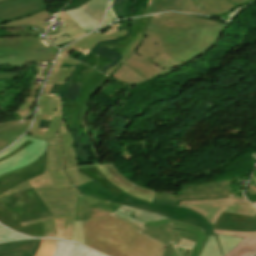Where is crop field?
Returning a JSON list of instances; mask_svg holds the SVG:
<instances>
[{"label":"crop field","instance_id":"412701ff","mask_svg":"<svg viewBox=\"0 0 256 256\" xmlns=\"http://www.w3.org/2000/svg\"><path fill=\"white\" fill-rule=\"evenodd\" d=\"M77 189L79 192L104 198L106 200H112L115 202L122 203L124 205L144 210L159 212L160 214L170 217L177 221H183L194 225H200L207 235H214L212 232V225L203 215L193 210L176 206L177 201L152 200V202L149 203L141 199L131 197L125 194L124 192L116 197L94 181L79 186L77 187Z\"/></svg>","mask_w":256,"mask_h":256},{"label":"crop field","instance_id":"03da06ac","mask_svg":"<svg viewBox=\"0 0 256 256\" xmlns=\"http://www.w3.org/2000/svg\"><path fill=\"white\" fill-rule=\"evenodd\" d=\"M246 192L248 193V195L252 196V197H256V192L251 190V189H247ZM255 206H256V202H252Z\"/></svg>","mask_w":256,"mask_h":256},{"label":"crop field","instance_id":"8a807250","mask_svg":"<svg viewBox=\"0 0 256 256\" xmlns=\"http://www.w3.org/2000/svg\"><path fill=\"white\" fill-rule=\"evenodd\" d=\"M63 63L79 62L59 57L39 104L29 136L48 142L45 174L27 180L0 194V198L33 187L54 216L23 223L43 222L44 237L56 234L54 221H65L64 239L72 240L73 220H84L85 245L109 256H162L166 247L140 233L139 227L113 215L122 204L79 193L75 187L92 181L78 168L96 166L101 174L125 193L151 202L154 192L134 185L114 164L78 166L73 139L62 119L59 95L49 94L53 84H65L74 67L60 69ZM41 119L51 120L48 130L38 129Z\"/></svg>","mask_w":256,"mask_h":256},{"label":"crop field","instance_id":"bd1437ed","mask_svg":"<svg viewBox=\"0 0 256 256\" xmlns=\"http://www.w3.org/2000/svg\"><path fill=\"white\" fill-rule=\"evenodd\" d=\"M36 98L26 97L25 102L23 106H21L19 111H17V114L20 115V117L26 116L33 108Z\"/></svg>","mask_w":256,"mask_h":256},{"label":"crop field","instance_id":"a9b5d70f","mask_svg":"<svg viewBox=\"0 0 256 256\" xmlns=\"http://www.w3.org/2000/svg\"><path fill=\"white\" fill-rule=\"evenodd\" d=\"M126 207L129 209L126 212L127 214H129L131 217H134L144 222L167 219V217L162 216L158 213L148 212V211H144V210H140V209H136L128 206Z\"/></svg>","mask_w":256,"mask_h":256},{"label":"crop field","instance_id":"22f410ed","mask_svg":"<svg viewBox=\"0 0 256 256\" xmlns=\"http://www.w3.org/2000/svg\"><path fill=\"white\" fill-rule=\"evenodd\" d=\"M46 7L43 0H11L0 3V23L25 17Z\"/></svg>","mask_w":256,"mask_h":256},{"label":"crop field","instance_id":"214f88e0","mask_svg":"<svg viewBox=\"0 0 256 256\" xmlns=\"http://www.w3.org/2000/svg\"><path fill=\"white\" fill-rule=\"evenodd\" d=\"M50 13L47 11V9L38 12L36 14L27 16L25 18L19 19V20H15V21H11V22H7V23H3L0 24V26L2 27H16V26H21V25H34V26H38V27H42L41 23H44L45 19H47L48 17H50ZM48 26L42 27L44 29H46Z\"/></svg>","mask_w":256,"mask_h":256},{"label":"crop field","instance_id":"5142ce71","mask_svg":"<svg viewBox=\"0 0 256 256\" xmlns=\"http://www.w3.org/2000/svg\"><path fill=\"white\" fill-rule=\"evenodd\" d=\"M215 229L237 230V231H256V216H245L222 212L216 223Z\"/></svg>","mask_w":256,"mask_h":256},{"label":"crop field","instance_id":"5866460e","mask_svg":"<svg viewBox=\"0 0 256 256\" xmlns=\"http://www.w3.org/2000/svg\"><path fill=\"white\" fill-rule=\"evenodd\" d=\"M57 234L54 237L63 239L64 222H55Z\"/></svg>","mask_w":256,"mask_h":256},{"label":"crop field","instance_id":"4177f3b9","mask_svg":"<svg viewBox=\"0 0 256 256\" xmlns=\"http://www.w3.org/2000/svg\"><path fill=\"white\" fill-rule=\"evenodd\" d=\"M183 0H159L153 13L163 11H179Z\"/></svg>","mask_w":256,"mask_h":256},{"label":"crop field","instance_id":"f4fd0767","mask_svg":"<svg viewBox=\"0 0 256 256\" xmlns=\"http://www.w3.org/2000/svg\"><path fill=\"white\" fill-rule=\"evenodd\" d=\"M58 50L45 48L35 36L0 38V64L24 68L34 60H54ZM19 74L0 73V79L17 78Z\"/></svg>","mask_w":256,"mask_h":256},{"label":"crop field","instance_id":"d8731c3e","mask_svg":"<svg viewBox=\"0 0 256 256\" xmlns=\"http://www.w3.org/2000/svg\"><path fill=\"white\" fill-rule=\"evenodd\" d=\"M233 185L232 187L235 191L233 197L208 201H178V206L190 208L203 214L212 223V225L215 223L222 211L255 216L256 209L245 200L242 195V190Z\"/></svg>","mask_w":256,"mask_h":256},{"label":"crop field","instance_id":"425ffa30","mask_svg":"<svg viewBox=\"0 0 256 256\" xmlns=\"http://www.w3.org/2000/svg\"><path fill=\"white\" fill-rule=\"evenodd\" d=\"M247 1L251 2V1H254V0H247Z\"/></svg>","mask_w":256,"mask_h":256},{"label":"crop field","instance_id":"120bbe31","mask_svg":"<svg viewBox=\"0 0 256 256\" xmlns=\"http://www.w3.org/2000/svg\"><path fill=\"white\" fill-rule=\"evenodd\" d=\"M248 4H249V3H248ZM245 5H247V4H245ZM245 5L240 6V7L236 8V9L232 10L231 12H229V13H227V14L221 16V17H222L223 19H225L227 22H230V21L242 10V8H243Z\"/></svg>","mask_w":256,"mask_h":256},{"label":"crop field","instance_id":"c035e120","mask_svg":"<svg viewBox=\"0 0 256 256\" xmlns=\"http://www.w3.org/2000/svg\"><path fill=\"white\" fill-rule=\"evenodd\" d=\"M249 185L251 189L255 190L256 191V176L253 175L250 182H249Z\"/></svg>","mask_w":256,"mask_h":256},{"label":"crop field","instance_id":"bc2a9ffb","mask_svg":"<svg viewBox=\"0 0 256 256\" xmlns=\"http://www.w3.org/2000/svg\"><path fill=\"white\" fill-rule=\"evenodd\" d=\"M40 240H24L0 244V256H34Z\"/></svg>","mask_w":256,"mask_h":256},{"label":"crop field","instance_id":"dafd665d","mask_svg":"<svg viewBox=\"0 0 256 256\" xmlns=\"http://www.w3.org/2000/svg\"><path fill=\"white\" fill-rule=\"evenodd\" d=\"M151 17L152 16L133 19V23H132L133 32L131 37L125 41L113 43L112 46L124 50V48L129 44V42L134 38V36H136L138 33H143V34L145 33Z\"/></svg>","mask_w":256,"mask_h":256},{"label":"crop field","instance_id":"ac0d7876","mask_svg":"<svg viewBox=\"0 0 256 256\" xmlns=\"http://www.w3.org/2000/svg\"><path fill=\"white\" fill-rule=\"evenodd\" d=\"M226 26L174 13L155 15L145 35L138 34L105 74L134 86L152 81L205 53Z\"/></svg>","mask_w":256,"mask_h":256},{"label":"crop field","instance_id":"e52e79f7","mask_svg":"<svg viewBox=\"0 0 256 256\" xmlns=\"http://www.w3.org/2000/svg\"><path fill=\"white\" fill-rule=\"evenodd\" d=\"M51 215L33 188L0 199V222L6 226Z\"/></svg>","mask_w":256,"mask_h":256},{"label":"crop field","instance_id":"b80d0937","mask_svg":"<svg viewBox=\"0 0 256 256\" xmlns=\"http://www.w3.org/2000/svg\"><path fill=\"white\" fill-rule=\"evenodd\" d=\"M98 44H100V45H102V46H104V47H106V48H108V49H111V50H114V51H116V52L122 53V50L117 49V48H114V47L108 45V44L105 43V42H99Z\"/></svg>","mask_w":256,"mask_h":256},{"label":"crop field","instance_id":"34b2d1b8","mask_svg":"<svg viewBox=\"0 0 256 256\" xmlns=\"http://www.w3.org/2000/svg\"><path fill=\"white\" fill-rule=\"evenodd\" d=\"M46 145L40 139L25 136L0 154V193L44 173Z\"/></svg>","mask_w":256,"mask_h":256},{"label":"crop field","instance_id":"00972430","mask_svg":"<svg viewBox=\"0 0 256 256\" xmlns=\"http://www.w3.org/2000/svg\"><path fill=\"white\" fill-rule=\"evenodd\" d=\"M87 251L88 249L80 245L58 241L57 248L53 256H83Z\"/></svg>","mask_w":256,"mask_h":256},{"label":"crop field","instance_id":"d3111659","mask_svg":"<svg viewBox=\"0 0 256 256\" xmlns=\"http://www.w3.org/2000/svg\"><path fill=\"white\" fill-rule=\"evenodd\" d=\"M25 238H28V237L18 235L0 226V242L8 241V240L25 239Z\"/></svg>","mask_w":256,"mask_h":256},{"label":"crop field","instance_id":"0bd39190","mask_svg":"<svg viewBox=\"0 0 256 256\" xmlns=\"http://www.w3.org/2000/svg\"><path fill=\"white\" fill-rule=\"evenodd\" d=\"M157 1L158 0H151L150 5H152V6L149 5V8H148V11H147L146 14H149V13L153 12V10H154V8H155V6L157 4Z\"/></svg>","mask_w":256,"mask_h":256},{"label":"crop field","instance_id":"28ad6ade","mask_svg":"<svg viewBox=\"0 0 256 256\" xmlns=\"http://www.w3.org/2000/svg\"><path fill=\"white\" fill-rule=\"evenodd\" d=\"M107 1L89 0L76 9L64 10V12L84 31L93 30L102 22Z\"/></svg>","mask_w":256,"mask_h":256},{"label":"crop field","instance_id":"92a150f3","mask_svg":"<svg viewBox=\"0 0 256 256\" xmlns=\"http://www.w3.org/2000/svg\"><path fill=\"white\" fill-rule=\"evenodd\" d=\"M79 172L93 179L94 181L99 183L101 186H103L104 188H106L116 196L119 195L121 192H123L117 189L115 186H113L106 178H104L100 174V172L96 169V167L79 169Z\"/></svg>","mask_w":256,"mask_h":256},{"label":"crop field","instance_id":"eef30255","mask_svg":"<svg viewBox=\"0 0 256 256\" xmlns=\"http://www.w3.org/2000/svg\"><path fill=\"white\" fill-rule=\"evenodd\" d=\"M108 60H109L108 58L90 51L89 54L84 59L83 63L98 70L104 64H106Z\"/></svg>","mask_w":256,"mask_h":256},{"label":"crop field","instance_id":"730fd06b","mask_svg":"<svg viewBox=\"0 0 256 256\" xmlns=\"http://www.w3.org/2000/svg\"><path fill=\"white\" fill-rule=\"evenodd\" d=\"M8 227L13 228L23 234H27L35 237H43L42 223L24 226V227H21L20 224H17V225H11Z\"/></svg>","mask_w":256,"mask_h":256},{"label":"crop field","instance_id":"5d738f31","mask_svg":"<svg viewBox=\"0 0 256 256\" xmlns=\"http://www.w3.org/2000/svg\"><path fill=\"white\" fill-rule=\"evenodd\" d=\"M190 251L186 250L183 256H189Z\"/></svg>","mask_w":256,"mask_h":256},{"label":"crop field","instance_id":"cbeb9de0","mask_svg":"<svg viewBox=\"0 0 256 256\" xmlns=\"http://www.w3.org/2000/svg\"><path fill=\"white\" fill-rule=\"evenodd\" d=\"M124 25H127V30H121L117 32L115 27ZM130 27L131 23L129 22L112 25L109 29L102 33L88 35L84 39L68 46L66 49L63 50L60 56L69 57L73 50L80 51L82 52V54L87 55L88 52L93 48V46L99 41H106L125 37L130 30Z\"/></svg>","mask_w":256,"mask_h":256},{"label":"crop field","instance_id":"25e5ab78","mask_svg":"<svg viewBox=\"0 0 256 256\" xmlns=\"http://www.w3.org/2000/svg\"><path fill=\"white\" fill-rule=\"evenodd\" d=\"M186 249H189V250H190L191 248H186Z\"/></svg>","mask_w":256,"mask_h":256},{"label":"crop field","instance_id":"750c4746","mask_svg":"<svg viewBox=\"0 0 256 256\" xmlns=\"http://www.w3.org/2000/svg\"><path fill=\"white\" fill-rule=\"evenodd\" d=\"M83 221H74L73 240L84 244Z\"/></svg>","mask_w":256,"mask_h":256},{"label":"crop field","instance_id":"e1f06a70","mask_svg":"<svg viewBox=\"0 0 256 256\" xmlns=\"http://www.w3.org/2000/svg\"><path fill=\"white\" fill-rule=\"evenodd\" d=\"M194 242H192V241H188V240H183V239H181V241L178 243V247H182V248H185L186 246H194Z\"/></svg>","mask_w":256,"mask_h":256},{"label":"crop field","instance_id":"1d83c4d3","mask_svg":"<svg viewBox=\"0 0 256 256\" xmlns=\"http://www.w3.org/2000/svg\"><path fill=\"white\" fill-rule=\"evenodd\" d=\"M207 239V235L204 233V231L200 234L190 256H198L205 241Z\"/></svg>","mask_w":256,"mask_h":256},{"label":"crop field","instance_id":"d9b57169","mask_svg":"<svg viewBox=\"0 0 256 256\" xmlns=\"http://www.w3.org/2000/svg\"><path fill=\"white\" fill-rule=\"evenodd\" d=\"M242 240L231 236H208L200 256H224Z\"/></svg>","mask_w":256,"mask_h":256},{"label":"crop field","instance_id":"5a996713","mask_svg":"<svg viewBox=\"0 0 256 256\" xmlns=\"http://www.w3.org/2000/svg\"><path fill=\"white\" fill-rule=\"evenodd\" d=\"M147 229L142 233L154 238L160 243L176 246L181 238L196 241L202 229L200 226H194L183 222L173 221L171 219L145 223ZM184 249L175 247L171 256H181Z\"/></svg>","mask_w":256,"mask_h":256},{"label":"crop field","instance_id":"028f5c9d","mask_svg":"<svg viewBox=\"0 0 256 256\" xmlns=\"http://www.w3.org/2000/svg\"><path fill=\"white\" fill-rule=\"evenodd\" d=\"M114 19H115L114 16L111 14V12L109 10V13H108V16L106 18L105 24L101 28H99L98 30H101V29L105 28L107 25H109L111 22H113Z\"/></svg>","mask_w":256,"mask_h":256},{"label":"crop field","instance_id":"d23c7cc5","mask_svg":"<svg viewBox=\"0 0 256 256\" xmlns=\"http://www.w3.org/2000/svg\"><path fill=\"white\" fill-rule=\"evenodd\" d=\"M4 1H8V0H0V2H4Z\"/></svg>","mask_w":256,"mask_h":256},{"label":"crop field","instance_id":"d32e631a","mask_svg":"<svg viewBox=\"0 0 256 256\" xmlns=\"http://www.w3.org/2000/svg\"><path fill=\"white\" fill-rule=\"evenodd\" d=\"M114 214H116V215H118V216H120V217H122V218H124V219H126V220H128V221H130V222H132L134 224H136L137 226H139V227H141L142 229L145 230V228L142 227L144 222H141L139 220L133 219L130 216H128L126 213L124 215H122V214H120V213L115 211Z\"/></svg>","mask_w":256,"mask_h":256},{"label":"crop field","instance_id":"b54c1fbb","mask_svg":"<svg viewBox=\"0 0 256 256\" xmlns=\"http://www.w3.org/2000/svg\"><path fill=\"white\" fill-rule=\"evenodd\" d=\"M84 256H102V255L89 250Z\"/></svg>","mask_w":256,"mask_h":256},{"label":"crop field","instance_id":"ae1a2a85","mask_svg":"<svg viewBox=\"0 0 256 256\" xmlns=\"http://www.w3.org/2000/svg\"><path fill=\"white\" fill-rule=\"evenodd\" d=\"M56 243L57 241L55 240L41 239L40 247L35 256H52L55 251Z\"/></svg>","mask_w":256,"mask_h":256},{"label":"crop field","instance_id":"4a817a6b","mask_svg":"<svg viewBox=\"0 0 256 256\" xmlns=\"http://www.w3.org/2000/svg\"><path fill=\"white\" fill-rule=\"evenodd\" d=\"M31 120L0 123V150L18 139L28 128Z\"/></svg>","mask_w":256,"mask_h":256},{"label":"crop field","instance_id":"3316defc","mask_svg":"<svg viewBox=\"0 0 256 256\" xmlns=\"http://www.w3.org/2000/svg\"><path fill=\"white\" fill-rule=\"evenodd\" d=\"M230 179L221 182L205 183L194 186L181 185L180 195L155 192L153 199L160 200H207L232 196Z\"/></svg>","mask_w":256,"mask_h":256},{"label":"crop field","instance_id":"d1516ede","mask_svg":"<svg viewBox=\"0 0 256 256\" xmlns=\"http://www.w3.org/2000/svg\"><path fill=\"white\" fill-rule=\"evenodd\" d=\"M248 3L244 0H185L180 11L203 15L220 16L225 10L230 11Z\"/></svg>","mask_w":256,"mask_h":256},{"label":"crop field","instance_id":"733c2abd","mask_svg":"<svg viewBox=\"0 0 256 256\" xmlns=\"http://www.w3.org/2000/svg\"><path fill=\"white\" fill-rule=\"evenodd\" d=\"M216 234L231 235L245 238L234 249H232L226 256H251L256 254V232H237L225 230H213Z\"/></svg>","mask_w":256,"mask_h":256},{"label":"crop field","instance_id":"c21b1889","mask_svg":"<svg viewBox=\"0 0 256 256\" xmlns=\"http://www.w3.org/2000/svg\"><path fill=\"white\" fill-rule=\"evenodd\" d=\"M173 247L172 246H168L166 247L163 256H170L171 252H172Z\"/></svg>","mask_w":256,"mask_h":256},{"label":"crop field","instance_id":"dd49c442","mask_svg":"<svg viewBox=\"0 0 256 256\" xmlns=\"http://www.w3.org/2000/svg\"><path fill=\"white\" fill-rule=\"evenodd\" d=\"M106 76L79 64L72 75L67 79L68 83L82 86L78 103L62 99L63 119L69 130L85 125L84 123V102L100 86L103 85ZM75 112V114H73Z\"/></svg>","mask_w":256,"mask_h":256}]
</instances>
